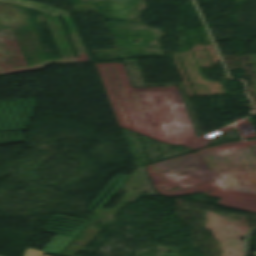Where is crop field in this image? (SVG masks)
I'll return each mask as SVG.
<instances>
[{"label":"crop field","instance_id":"crop-field-1","mask_svg":"<svg viewBox=\"0 0 256 256\" xmlns=\"http://www.w3.org/2000/svg\"><path fill=\"white\" fill-rule=\"evenodd\" d=\"M30 101H31L33 110H31L27 99H26V100H22V102H23V104H24V107H25V109H26V111H27V114H28V116H29V118L27 119V117H26V115H25V112H24V110H23V107H22V104H21L20 100H15V102H16V104H17V106H18V108H19V110H20V112H21V115H22V117H23V119H24V121H25V123H26V125H27V127H24V125H23V123H22V121H21V118H20V116H19V114H18V111H17V109H16V106H15L13 100H8V103H9V105H10V107H11V110H12V112H13V114H14V117H15V119H16V121H17V124H18L20 130H26V129L28 128V126H29V124H30V121H31V119H32V116H33V114H34V112H35V109H36V107H37V104H36V102H35L34 99H30ZM1 103H2V105H3V107H4V109H5V112H6L7 116H8V118H9V121H10V123H11L13 129H10V127H9V125H8V122H7V120H6V117H5V115H4V113H3V110H2V108H1V105H0V117H1L2 122H3V124H4L5 128H6V130H3L2 126H1V123H0V131H18L17 128H16V126H15V123H14V121H13V118H12V116H11V113H10V110H9V108H8V105H7L6 101H1ZM12 127H11V128H12Z\"/></svg>","mask_w":256,"mask_h":256},{"label":"crop field","instance_id":"crop-field-2","mask_svg":"<svg viewBox=\"0 0 256 256\" xmlns=\"http://www.w3.org/2000/svg\"><path fill=\"white\" fill-rule=\"evenodd\" d=\"M120 176H123L121 180L116 184V186L111 190V192L107 195V197L102 201V203L97 207L95 211V207L99 204V202L103 199V197L107 194V192L111 189L114 183L118 180ZM128 176L117 174L116 177L110 182V184L105 188V190L100 194V196L94 201V203L90 206L89 210L91 212H100L102 208L107 204V202L112 198V196L117 192V190L122 186V184L127 180Z\"/></svg>","mask_w":256,"mask_h":256},{"label":"crop field","instance_id":"crop-field-3","mask_svg":"<svg viewBox=\"0 0 256 256\" xmlns=\"http://www.w3.org/2000/svg\"><path fill=\"white\" fill-rule=\"evenodd\" d=\"M54 217L61 218V219H67V220H73V221H80V222L86 223V225L77 224V223H71V222H65V221H61V220L54 219ZM51 220L60 221V222H65V223H70V224L82 226V227H84V228L90 223V221H85V220H79V219H73V218H67V217H61V216H56V215H54V216H52V217L50 218V220L48 221L49 224H56V225H61V226H65V227L75 228V229H79L80 231H73V230L62 229V230H67V231L75 232L76 235H74V234H69V233H64V232H59V231L48 230V228L61 229V228L49 226V224L46 225V228L44 229L45 231H50V232L59 233V234H64V235L73 236V237H76L84 228H76V227H71V226H67V225H63V224L53 223V222H50Z\"/></svg>","mask_w":256,"mask_h":256},{"label":"crop field","instance_id":"crop-field-4","mask_svg":"<svg viewBox=\"0 0 256 256\" xmlns=\"http://www.w3.org/2000/svg\"><path fill=\"white\" fill-rule=\"evenodd\" d=\"M74 238L57 235L42 251L53 254H58L66 245H68ZM51 245L49 250L47 248Z\"/></svg>","mask_w":256,"mask_h":256},{"label":"crop field","instance_id":"crop-field-5","mask_svg":"<svg viewBox=\"0 0 256 256\" xmlns=\"http://www.w3.org/2000/svg\"><path fill=\"white\" fill-rule=\"evenodd\" d=\"M7 133H8V132H3L4 137H5V139H6V142H7V144H12L11 141H10V139H9V137H8V135H7ZM16 133H17V135H18L20 141H21V142H25L24 139H23L22 133H21V132H16ZM10 134H11V136H12V139H13L14 143H21V142H18V140H17V138H16L14 132H10ZM3 144H4V142H3V140H2V138H1V136H0V145H3Z\"/></svg>","mask_w":256,"mask_h":256},{"label":"crop field","instance_id":"crop-field-6","mask_svg":"<svg viewBox=\"0 0 256 256\" xmlns=\"http://www.w3.org/2000/svg\"><path fill=\"white\" fill-rule=\"evenodd\" d=\"M256 255V254H255Z\"/></svg>","mask_w":256,"mask_h":256}]
</instances>
